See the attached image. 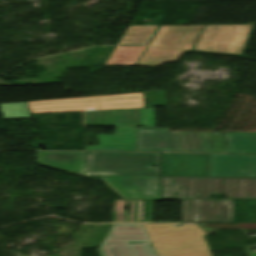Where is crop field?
<instances>
[{"label":"crop field","mask_w":256,"mask_h":256,"mask_svg":"<svg viewBox=\"0 0 256 256\" xmlns=\"http://www.w3.org/2000/svg\"><path fill=\"white\" fill-rule=\"evenodd\" d=\"M208 176L256 177V156L209 155Z\"/></svg>","instance_id":"crop-field-11"},{"label":"crop field","mask_w":256,"mask_h":256,"mask_svg":"<svg viewBox=\"0 0 256 256\" xmlns=\"http://www.w3.org/2000/svg\"><path fill=\"white\" fill-rule=\"evenodd\" d=\"M204 26L206 27L198 38ZM251 26H160L151 45L185 51L147 47L138 65L160 66L165 62H174L183 52L189 50L242 55L244 43ZM197 38L198 40L196 41Z\"/></svg>","instance_id":"crop-field-1"},{"label":"crop field","mask_w":256,"mask_h":256,"mask_svg":"<svg viewBox=\"0 0 256 256\" xmlns=\"http://www.w3.org/2000/svg\"><path fill=\"white\" fill-rule=\"evenodd\" d=\"M253 247H256V246H251V247H247V248H248L249 253H250L251 256H256V253L251 251V248H253Z\"/></svg>","instance_id":"crop-field-20"},{"label":"crop field","mask_w":256,"mask_h":256,"mask_svg":"<svg viewBox=\"0 0 256 256\" xmlns=\"http://www.w3.org/2000/svg\"><path fill=\"white\" fill-rule=\"evenodd\" d=\"M200 201V221H195ZM183 223L232 222L233 200H182Z\"/></svg>","instance_id":"crop-field-9"},{"label":"crop field","mask_w":256,"mask_h":256,"mask_svg":"<svg viewBox=\"0 0 256 256\" xmlns=\"http://www.w3.org/2000/svg\"><path fill=\"white\" fill-rule=\"evenodd\" d=\"M31 113L144 108L143 93L28 102Z\"/></svg>","instance_id":"crop-field-6"},{"label":"crop field","mask_w":256,"mask_h":256,"mask_svg":"<svg viewBox=\"0 0 256 256\" xmlns=\"http://www.w3.org/2000/svg\"><path fill=\"white\" fill-rule=\"evenodd\" d=\"M145 46H118L104 65H135Z\"/></svg>","instance_id":"crop-field-15"},{"label":"crop field","mask_w":256,"mask_h":256,"mask_svg":"<svg viewBox=\"0 0 256 256\" xmlns=\"http://www.w3.org/2000/svg\"><path fill=\"white\" fill-rule=\"evenodd\" d=\"M211 194L256 199V178L162 177V200L211 199Z\"/></svg>","instance_id":"crop-field-2"},{"label":"crop field","mask_w":256,"mask_h":256,"mask_svg":"<svg viewBox=\"0 0 256 256\" xmlns=\"http://www.w3.org/2000/svg\"><path fill=\"white\" fill-rule=\"evenodd\" d=\"M0 108L4 119L30 118L27 102L0 104Z\"/></svg>","instance_id":"crop-field-18"},{"label":"crop field","mask_w":256,"mask_h":256,"mask_svg":"<svg viewBox=\"0 0 256 256\" xmlns=\"http://www.w3.org/2000/svg\"><path fill=\"white\" fill-rule=\"evenodd\" d=\"M145 225L159 256H211L203 235L196 224Z\"/></svg>","instance_id":"crop-field-4"},{"label":"crop field","mask_w":256,"mask_h":256,"mask_svg":"<svg viewBox=\"0 0 256 256\" xmlns=\"http://www.w3.org/2000/svg\"><path fill=\"white\" fill-rule=\"evenodd\" d=\"M137 131V150L224 151L219 133L169 132L167 128H137ZM171 139L177 149H173Z\"/></svg>","instance_id":"crop-field-5"},{"label":"crop field","mask_w":256,"mask_h":256,"mask_svg":"<svg viewBox=\"0 0 256 256\" xmlns=\"http://www.w3.org/2000/svg\"><path fill=\"white\" fill-rule=\"evenodd\" d=\"M123 199L159 198V177L103 176Z\"/></svg>","instance_id":"crop-field-10"},{"label":"crop field","mask_w":256,"mask_h":256,"mask_svg":"<svg viewBox=\"0 0 256 256\" xmlns=\"http://www.w3.org/2000/svg\"><path fill=\"white\" fill-rule=\"evenodd\" d=\"M135 125L156 127L154 108L86 112V126H116L114 135L96 134L87 150L135 151Z\"/></svg>","instance_id":"crop-field-3"},{"label":"crop field","mask_w":256,"mask_h":256,"mask_svg":"<svg viewBox=\"0 0 256 256\" xmlns=\"http://www.w3.org/2000/svg\"><path fill=\"white\" fill-rule=\"evenodd\" d=\"M151 164L157 167L151 169ZM87 172L160 176V153H88Z\"/></svg>","instance_id":"crop-field-7"},{"label":"crop field","mask_w":256,"mask_h":256,"mask_svg":"<svg viewBox=\"0 0 256 256\" xmlns=\"http://www.w3.org/2000/svg\"><path fill=\"white\" fill-rule=\"evenodd\" d=\"M208 155L162 153L161 176H207Z\"/></svg>","instance_id":"crop-field-12"},{"label":"crop field","mask_w":256,"mask_h":256,"mask_svg":"<svg viewBox=\"0 0 256 256\" xmlns=\"http://www.w3.org/2000/svg\"><path fill=\"white\" fill-rule=\"evenodd\" d=\"M37 161L41 165L63 171L85 175L86 158L81 152H38Z\"/></svg>","instance_id":"crop-field-13"},{"label":"crop field","mask_w":256,"mask_h":256,"mask_svg":"<svg viewBox=\"0 0 256 256\" xmlns=\"http://www.w3.org/2000/svg\"><path fill=\"white\" fill-rule=\"evenodd\" d=\"M227 152L256 153V133H222Z\"/></svg>","instance_id":"crop-field-14"},{"label":"crop field","mask_w":256,"mask_h":256,"mask_svg":"<svg viewBox=\"0 0 256 256\" xmlns=\"http://www.w3.org/2000/svg\"><path fill=\"white\" fill-rule=\"evenodd\" d=\"M145 222H150V200H145Z\"/></svg>","instance_id":"crop-field-19"},{"label":"crop field","mask_w":256,"mask_h":256,"mask_svg":"<svg viewBox=\"0 0 256 256\" xmlns=\"http://www.w3.org/2000/svg\"><path fill=\"white\" fill-rule=\"evenodd\" d=\"M157 26H130L119 44H148Z\"/></svg>","instance_id":"crop-field-17"},{"label":"crop field","mask_w":256,"mask_h":256,"mask_svg":"<svg viewBox=\"0 0 256 256\" xmlns=\"http://www.w3.org/2000/svg\"><path fill=\"white\" fill-rule=\"evenodd\" d=\"M129 201H131V222H142L143 200H116L112 211L113 222H128V215L123 208Z\"/></svg>","instance_id":"crop-field-16"},{"label":"crop field","mask_w":256,"mask_h":256,"mask_svg":"<svg viewBox=\"0 0 256 256\" xmlns=\"http://www.w3.org/2000/svg\"><path fill=\"white\" fill-rule=\"evenodd\" d=\"M143 224H113L102 245V256H156L150 243L127 245L125 241H148Z\"/></svg>","instance_id":"crop-field-8"}]
</instances>
